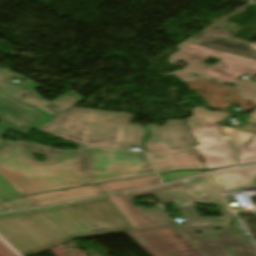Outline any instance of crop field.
Masks as SVG:
<instances>
[{
    "instance_id": "crop-field-1",
    "label": "crop field",
    "mask_w": 256,
    "mask_h": 256,
    "mask_svg": "<svg viewBox=\"0 0 256 256\" xmlns=\"http://www.w3.org/2000/svg\"><path fill=\"white\" fill-rule=\"evenodd\" d=\"M46 155V162L32 154ZM0 174L22 195L86 185L83 150L13 142L0 150Z\"/></svg>"
},
{
    "instance_id": "crop-field-2",
    "label": "crop field",
    "mask_w": 256,
    "mask_h": 256,
    "mask_svg": "<svg viewBox=\"0 0 256 256\" xmlns=\"http://www.w3.org/2000/svg\"><path fill=\"white\" fill-rule=\"evenodd\" d=\"M132 115L72 107L38 130L80 145L143 148L144 130L129 124Z\"/></svg>"
},
{
    "instance_id": "crop-field-3",
    "label": "crop field",
    "mask_w": 256,
    "mask_h": 256,
    "mask_svg": "<svg viewBox=\"0 0 256 256\" xmlns=\"http://www.w3.org/2000/svg\"><path fill=\"white\" fill-rule=\"evenodd\" d=\"M11 78L18 83L10 81ZM0 68V149L9 141L1 137L7 131L26 134L30 128H36L56 115L85 99L76 91H71L51 102L44 100L36 92L39 84ZM26 86V88L24 87Z\"/></svg>"
},
{
    "instance_id": "crop-field-4",
    "label": "crop field",
    "mask_w": 256,
    "mask_h": 256,
    "mask_svg": "<svg viewBox=\"0 0 256 256\" xmlns=\"http://www.w3.org/2000/svg\"><path fill=\"white\" fill-rule=\"evenodd\" d=\"M177 48L181 50L169 56L170 63L173 64L181 60L188 65L182 71H175L165 75L174 74L184 82L206 78L219 83L233 85L239 90V97L251 100L256 104V83L237 80V77L248 72L256 74V60L185 42L177 45ZM209 57L221 60L212 67L201 63ZM191 73H195L199 77H195ZM246 116L256 118V110Z\"/></svg>"
},
{
    "instance_id": "crop-field-5",
    "label": "crop field",
    "mask_w": 256,
    "mask_h": 256,
    "mask_svg": "<svg viewBox=\"0 0 256 256\" xmlns=\"http://www.w3.org/2000/svg\"><path fill=\"white\" fill-rule=\"evenodd\" d=\"M38 211L69 239L134 230L107 196Z\"/></svg>"
},
{
    "instance_id": "crop-field-6",
    "label": "crop field",
    "mask_w": 256,
    "mask_h": 256,
    "mask_svg": "<svg viewBox=\"0 0 256 256\" xmlns=\"http://www.w3.org/2000/svg\"><path fill=\"white\" fill-rule=\"evenodd\" d=\"M192 112V116L185 119V123L198 143L194 148L205 167L214 169L234 165L236 149L255 134L218 126L228 113L212 112L200 107L193 108Z\"/></svg>"
},
{
    "instance_id": "crop-field-7",
    "label": "crop field",
    "mask_w": 256,
    "mask_h": 256,
    "mask_svg": "<svg viewBox=\"0 0 256 256\" xmlns=\"http://www.w3.org/2000/svg\"><path fill=\"white\" fill-rule=\"evenodd\" d=\"M174 202L187 219L183 225L176 227L207 256H256L252 241L236 236L231 230L232 213L223 214L224 217L220 218H199L193 202ZM216 227L222 230L214 231ZM197 230H202V234H195Z\"/></svg>"
},
{
    "instance_id": "crop-field-8",
    "label": "crop field",
    "mask_w": 256,
    "mask_h": 256,
    "mask_svg": "<svg viewBox=\"0 0 256 256\" xmlns=\"http://www.w3.org/2000/svg\"><path fill=\"white\" fill-rule=\"evenodd\" d=\"M150 129L153 137L145 146L159 173L205 168L193 148L195 138L183 121L170 120L162 127L150 125Z\"/></svg>"
},
{
    "instance_id": "crop-field-9",
    "label": "crop field",
    "mask_w": 256,
    "mask_h": 256,
    "mask_svg": "<svg viewBox=\"0 0 256 256\" xmlns=\"http://www.w3.org/2000/svg\"><path fill=\"white\" fill-rule=\"evenodd\" d=\"M0 234L23 256L68 240L37 210L1 214Z\"/></svg>"
},
{
    "instance_id": "crop-field-10",
    "label": "crop field",
    "mask_w": 256,
    "mask_h": 256,
    "mask_svg": "<svg viewBox=\"0 0 256 256\" xmlns=\"http://www.w3.org/2000/svg\"><path fill=\"white\" fill-rule=\"evenodd\" d=\"M83 148L87 185L155 173L147 155Z\"/></svg>"
},
{
    "instance_id": "crop-field-11",
    "label": "crop field",
    "mask_w": 256,
    "mask_h": 256,
    "mask_svg": "<svg viewBox=\"0 0 256 256\" xmlns=\"http://www.w3.org/2000/svg\"><path fill=\"white\" fill-rule=\"evenodd\" d=\"M130 196L154 195L161 202L191 200L204 204H217L222 213L231 212L208 174L194 178L128 192Z\"/></svg>"
},
{
    "instance_id": "crop-field-12",
    "label": "crop field",
    "mask_w": 256,
    "mask_h": 256,
    "mask_svg": "<svg viewBox=\"0 0 256 256\" xmlns=\"http://www.w3.org/2000/svg\"><path fill=\"white\" fill-rule=\"evenodd\" d=\"M127 234L151 256H206L175 226Z\"/></svg>"
},
{
    "instance_id": "crop-field-13",
    "label": "crop field",
    "mask_w": 256,
    "mask_h": 256,
    "mask_svg": "<svg viewBox=\"0 0 256 256\" xmlns=\"http://www.w3.org/2000/svg\"><path fill=\"white\" fill-rule=\"evenodd\" d=\"M108 197L135 230L173 225L158 207L150 210L137 208L124 193L109 195Z\"/></svg>"
},
{
    "instance_id": "crop-field-14",
    "label": "crop field",
    "mask_w": 256,
    "mask_h": 256,
    "mask_svg": "<svg viewBox=\"0 0 256 256\" xmlns=\"http://www.w3.org/2000/svg\"><path fill=\"white\" fill-rule=\"evenodd\" d=\"M186 42L230 52L256 59V50L249 48V42L209 31L202 30Z\"/></svg>"
},
{
    "instance_id": "crop-field-15",
    "label": "crop field",
    "mask_w": 256,
    "mask_h": 256,
    "mask_svg": "<svg viewBox=\"0 0 256 256\" xmlns=\"http://www.w3.org/2000/svg\"><path fill=\"white\" fill-rule=\"evenodd\" d=\"M212 174L221 191L225 194L256 188V165L217 171Z\"/></svg>"
},
{
    "instance_id": "crop-field-16",
    "label": "crop field",
    "mask_w": 256,
    "mask_h": 256,
    "mask_svg": "<svg viewBox=\"0 0 256 256\" xmlns=\"http://www.w3.org/2000/svg\"><path fill=\"white\" fill-rule=\"evenodd\" d=\"M98 185L53 191L25 197L34 206L63 202L82 197L102 194Z\"/></svg>"
},
{
    "instance_id": "crop-field-17",
    "label": "crop field",
    "mask_w": 256,
    "mask_h": 256,
    "mask_svg": "<svg viewBox=\"0 0 256 256\" xmlns=\"http://www.w3.org/2000/svg\"><path fill=\"white\" fill-rule=\"evenodd\" d=\"M158 183H160L159 179L157 175H154V176H148V177H143L138 179L101 184L99 186L104 193H108V192L126 190V189L137 188V187L153 185Z\"/></svg>"
},
{
    "instance_id": "crop-field-18",
    "label": "crop field",
    "mask_w": 256,
    "mask_h": 256,
    "mask_svg": "<svg viewBox=\"0 0 256 256\" xmlns=\"http://www.w3.org/2000/svg\"><path fill=\"white\" fill-rule=\"evenodd\" d=\"M256 162V138L239 151L238 165Z\"/></svg>"
},
{
    "instance_id": "crop-field-19",
    "label": "crop field",
    "mask_w": 256,
    "mask_h": 256,
    "mask_svg": "<svg viewBox=\"0 0 256 256\" xmlns=\"http://www.w3.org/2000/svg\"><path fill=\"white\" fill-rule=\"evenodd\" d=\"M22 196L0 175V200H7L14 197Z\"/></svg>"
},
{
    "instance_id": "crop-field-20",
    "label": "crop field",
    "mask_w": 256,
    "mask_h": 256,
    "mask_svg": "<svg viewBox=\"0 0 256 256\" xmlns=\"http://www.w3.org/2000/svg\"><path fill=\"white\" fill-rule=\"evenodd\" d=\"M202 172H206V171H177V172L162 174L161 177L164 182H168V181H172L175 179L187 177V176L202 173Z\"/></svg>"
},
{
    "instance_id": "crop-field-21",
    "label": "crop field",
    "mask_w": 256,
    "mask_h": 256,
    "mask_svg": "<svg viewBox=\"0 0 256 256\" xmlns=\"http://www.w3.org/2000/svg\"><path fill=\"white\" fill-rule=\"evenodd\" d=\"M4 203H6L9 207H11L12 209H16V208H23V207H31L33 206L30 202H28L24 197L21 198H17V199H13V200H9V201H5Z\"/></svg>"
},
{
    "instance_id": "crop-field-22",
    "label": "crop field",
    "mask_w": 256,
    "mask_h": 256,
    "mask_svg": "<svg viewBox=\"0 0 256 256\" xmlns=\"http://www.w3.org/2000/svg\"><path fill=\"white\" fill-rule=\"evenodd\" d=\"M0 256H18L0 240Z\"/></svg>"
},
{
    "instance_id": "crop-field-23",
    "label": "crop field",
    "mask_w": 256,
    "mask_h": 256,
    "mask_svg": "<svg viewBox=\"0 0 256 256\" xmlns=\"http://www.w3.org/2000/svg\"><path fill=\"white\" fill-rule=\"evenodd\" d=\"M8 210L3 204L0 203V211Z\"/></svg>"
},
{
    "instance_id": "crop-field-24",
    "label": "crop field",
    "mask_w": 256,
    "mask_h": 256,
    "mask_svg": "<svg viewBox=\"0 0 256 256\" xmlns=\"http://www.w3.org/2000/svg\"><path fill=\"white\" fill-rule=\"evenodd\" d=\"M250 47L255 48L256 49V43H250Z\"/></svg>"
}]
</instances>
